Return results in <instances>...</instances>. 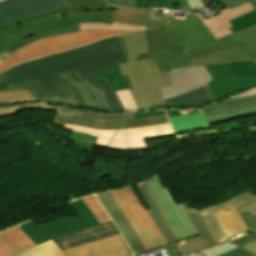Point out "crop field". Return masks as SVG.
Instances as JSON below:
<instances>
[{
    "instance_id": "obj_29",
    "label": "crop field",
    "mask_w": 256,
    "mask_h": 256,
    "mask_svg": "<svg viewBox=\"0 0 256 256\" xmlns=\"http://www.w3.org/2000/svg\"><path fill=\"white\" fill-rule=\"evenodd\" d=\"M227 237L248 230L238 211L233 208L228 211L215 214Z\"/></svg>"
},
{
    "instance_id": "obj_61",
    "label": "crop field",
    "mask_w": 256,
    "mask_h": 256,
    "mask_svg": "<svg viewBox=\"0 0 256 256\" xmlns=\"http://www.w3.org/2000/svg\"><path fill=\"white\" fill-rule=\"evenodd\" d=\"M168 116H172V115H177L179 114L178 110H173V111H167Z\"/></svg>"
},
{
    "instance_id": "obj_4",
    "label": "crop field",
    "mask_w": 256,
    "mask_h": 256,
    "mask_svg": "<svg viewBox=\"0 0 256 256\" xmlns=\"http://www.w3.org/2000/svg\"><path fill=\"white\" fill-rule=\"evenodd\" d=\"M128 64L120 65L122 75L127 74L130 90L138 110H150V104L164 103L159 88L173 85L167 70L159 71L153 59L134 62L137 54L146 52L143 31L121 35Z\"/></svg>"
},
{
    "instance_id": "obj_22",
    "label": "crop field",
    "mask_w": 256,
    "mask_h": 256,
    "mask_svg": "<svg viewBox=\"0 0 256 256\" xmlns=\"http://www.w3.org/2000/svg\"><path fill=\"white\" fill-rule=\"evenodd\" d=\"M35 244L17 227L0 233V256H10Z\"/></svg>"
},
{
    "instance_id": "obj_21",
    "label": "crop field",
    "mask_w": 256,
    "mask_h": 256,
    "mask_svg": "<svg viewBox=\"0 0 256 256\" xmlns=\"http://www.w3.org/2000/svg\"><path fill=\"white\" fill-rule=\"evenodd\" d=\"M146 203L150 207L151 210L148 211L150 216L152 217L159 233L164 238L166 243L177 240L174 232L170 228L166 218L164 217L159 205L157 204L147 182L141 185H138ZM150 217V218H151Z\"/></svg>"
},
{
    "instance_id": "obj_48",
    "label": "crop field",
    "mask_w": 256,
    "mask_h": 256,
    "mask_svg": "<svg viewBox=\"0 0 256 256\" xmlns=\"http://www.w3.org/2000/svg\"><path fill=\"white\" fill-rule=\"evenodd\" d=\"M238 211H239L240 215L244 214V213H246L248 211H250V213L252 215H255L256 214V202L252 203V204H250L248 206H245V207L239 209Z\"/></svg>"
},
{
    "instance_id": "obj_63",
    "label": "crop field",
    "mask_w": 256,
    "mask_h": 256,
    "mask_svg": "<svg viewBox=\"0 0 256 256\" xmlns=\"http://www.w3.org/2000/svg\"><path fill=\"white\" fill-rule=\"evenodd\" d=\"M251 4L254 6V8L256 9V0L251 1Z\"/></svg>"
},
{
    "instance_id": "obj_43",
    "label": "crop field",
    "mask_w": 256,
    "mask_h": 256,
    "mask_svg": "<svg viewBox=\"0 0 256 256\" xmlns=\"http://www.w3.org/2000/svg\"><path fill=\"white\" fill-rule=\"evenodd\" d=\"M240 248H242L249 254L256 256V238L242 245Z\"/></svg>"
},
{
    "instance_id": "obj_67",
    "label": "crop field",
    "mask_w": 256,
    "mask_h": 256,
    "mask_svg": "<svg viewBox=\"0 0 256 256\" xmlns=\"http://www.w3.org/2000/svg\"><path fill=\"white\" fill-rule=\"evenodd\" d=\"M131 256H133V255H131Z\"/></svg>"
},
{
    "instance_id": "obj_25",
    "label": "crop field",
    "mask_w": 256,
    "mask_h": 256,
    "mask_svg": "<svg viewBox=\"0 0 256 256\" xmlns=\"http://www.w3.org/2000/svg\"><path fill=\"white\" fill-rule=\"evenodd\" d=\"M68 9L69 7L2 26L0 27V42H2L3 40H5L6 38H8L13 34L20 33L28 29H31L33 27L39 26L41 24L57 20L55 12L68 10Z\"/></svg>"
},
{
    "instance_id": "obj_59",
    "label": "crop field",
    "mask_w": 256,
    "mask_h": 256,
    "mask_svg": "<svg viewBox=\"0 0 256 256\" xmlns=\"http://www.w3.org/2000/svg\"><path fill=\"white\" fill-rule=\"evenodd\" d=\"M203 1V3H204V5H205V7L207 8L208 6H210L213 2H214V0H202Z\"/></svg>"
},
{
    "instance_id": "obj_34",
    "label": "crop field",
    "mask_w": 256,
    "mask_h": 256,
    "mask_svg": "<svg viewBox=\"0 0 256 256\" xmlns=\"http://www.w3.org/2000/svg\"><path fill=\"white\" fill-rule=\"evenodd\" d=\"M234 77L256 76V66L252 61L228 64Z\"/></svg>"
},
{
    "instance_id": "obj_31",
    "label": "crop field",
    "mask_w": 256,
    "mask_h": 256,
    "mask_svg": "<svg viewBox=\"0 0 256 256\" xmlns=\"http://www.w3.org/2000/svg\"><path fill=\"white\" fill-rule=\"evenodd\" d=\"M154 61L157 64L159 70L191 66L186 52L154 58Z\"/></svg>"
},
{
    "instance_id": "obj_57",
    "label": "crop field",
    "mask_w": 256,
    "mask_h": 256,
    "mask_svg": "<svg viewBox=\"0 0 256 256\" xmlns=\"http://www.w3.org/2000/svg\"><path fill=\"white\" fill-rule=\"evenodd\" d=\"M249 54H250V56H251L252 61H253V62L255 63V65H256V50L249 52Z\"/></svg>"
},
{
    "instance_id": "obj_53",
    "label": "crop field",
    "mask_w": 256,
    "mask_h": 256,
    "mask_svg": "<svg viewBox=\"0 0 256 256\" xmlns=\"http://www.w3.org/2000/svg\"><path fill=\"white\" fill-rule=\"evenodd\" d=\"M163 248L166 250L168 256L170 255H174V254H178V251L176 250L175 246L173 245V243L168 244L166 246H163ZM164 250V251H165Z\"/></svg>"
},
{
    "instance_id": "obj_24",
    "label": "crop field",
    "mask_w": 256,
    "mask_h": 256,
    "mask_svg": "<svg viewBox=\"0 0 256 256\" xmlns=\"http://www.w3.org/2000/svg\"><path fill=\"white\" fill-rule=\"evenodd\" d=\"M192 66L201 64H222L237 61H247L251 60L249 54L247 53L245 46L235 47L229 50L191 58L189 59Z\"/></svg>"
},
{
    "instance_id": "obj_65",
    "label": "crop field",
    "mask_w": 256,
    "mask_h": 256,
    "mask_svg": "<svg viewBox=\"0 0 256 256\" xmlns=\"http://www.w3.org/2000/svg\"><path fill=\"white\" fill-rule=\"evenodd\" d=\"M108 1H109L110 3H112L111 0H108ZM112 4H113V3H112Z\"/></svg>"
},
{
    "instance_id": "obj_44",
    "label": "crop field",
    "mask_w": 256,
    "mask_h": 256,
    "mask_svg": "<svg viewBox=\"0 0 256 256\" xmlns=\"http://www.w3.org/2000/svg\"><path fill=\"white\" fill-rule=\"evenodd\" d=\"M246 221L250 231L256 229V216H252L250 213L242 215Z\"/></svg>"
},
{
    "instance_id": "obj_52",
    "label": "crop field",
    "mask_w": 256,
    "mask_h": 256,
    "mask_svg": "<svg viewBox=\"0 0 256 256\" xmlns=\"http://www.w3.org/2000/svg\"><path fill=\"white\" fill-rule=\"evenodd\" d=\"M80 110L77 109H67V108H59L60 113H64V114H68V115H73V116H77Z\"/></svg>"
},
{
    "instance_id": "obj_20",
    "label": "crop field",
    "mask_w": 256,
    "mask_h": 256,
    "mask_svg": "<svg viewBox=\"0 0 256 256\" xmlns=\"http://www.w3.org/2000/svg\"><path fill=\"white\" fill-rule=\"evenodd\" d=\"M118 62L104 64L96 67H90L78 71L84 78H86L90 83L95 85L105 96L112 111H125L122 103L120 102L116 92L111 88V86L106 82H101V80L96 77L92 72L100 71L104 69L118 67Z\"/></svg>"
},
{
    "instance_id": "obj_5",
    "label": "crop field",
    "mask_w": 256,
    "mask_h": 256,
    "mask_svg": "<svg viewBox=\"0 0 256 256\" xmlns=\"http://www.w3.org/2000/svg\"><path fill=\"white\" fill-rule=\"evenodd\" d=\"M58 18L59 20L57 21L9 37L0 43V52L5 50L9 54L41 38L80 31L78 23L107 22L111 24L113 20V10L71 12L59 15Z\"/></svg>"
},
{
    "instance_id": "obj_45",
    "label": "crop field",
    "mask_w": 256,
    "mask_h": 256,
    "mask_svg": "<svg viewBox=\"0 0 256 256\" xmlns=\"http://www.w3.org/2000/svg\"><path fill=\"white\" fill-rule=\"evenodd\" d=\"M228 9L241 5L251 0H220Z\"/></svg>"
},
{
    "instance_id": "obj_16",
    "label": "crop field",
    "mask_w": 256,
    "mask_h": 256,
    "mask_svg": "<svg viewBox=\"0 0 256 256\" xmlns=\"http://www.w3.org/2000/svg\"><path fill=\"white\" fill-rule=\"evenodd\" d=\"M119 234L120 232L111 221L53 239V241L63 251Z\"/></svg>"
},
{
    "instance_id": "obj_30",
    "label": "crop field",
    "mask_w": 256,
    "mask_h": 256,
    "mask_svg": "<svg viewBox=\"0 0 256 256\" xmlns=\"http://www.w3.org/2000/svg\"><path fill=\"white\" fill-rule=\"evenodd\" d=\"M255 201H256V196L246 192V193H244L234 199H231L225 203L211 206L208 208H204L201 210H197V212L200 215V217H202V216L209 215L212 213L228 210L233 207H235L236 209H239V208H241L245 205H248L252 202H255Z\"/></svg>"
},
{
    "instance_id": "obj_60",
    "label": "crop field",
    "mask_w": 256,
    "mask_h": 256,
    "mask_svg": "<svg viewBox=\"0 0 256 256\" xmlns=\"http://www.w3.org/2000/svg\"><path fill=\"white\" fill-rule=\"evenodd\" d=\"M182 4H183L184 10H190V7H189V5H188L186 0H182Z\"/></svg>"
},
{
    "instance_id": "obj_1",
    "label": "crop field",
    "mask_w": 256,
    "mask_h": 256,
    "mask_svg": "<svg viewBox=\"0 0 256 256\" xmlns=\"http://www.w3.org/2000/svg\"><path fill=\"white\" fill-rule=\"evenodd\" d=\"M127 60L121 36L22 63L0 73V103L41 100L78 106L70 88L53 76Z\"/></svg>"
},
{
    "instance_id": "obj_17",
    "label": "crop field",
    "mask_w": 256,
    "mask_h": 256,
    "mask_svg": "<svg viewBox=\"0 0 256 256\" xmlns=\"http://www.w3.org/2000/svg\"><path fill=\"white\" fill-rule=\"evenodd\" d=\"M66 256H127L131 251L122 235L63 251Z\"/></svg>"
},
{
    "instance_id": "obj_35",
    "label": "crop field",
    "mask_w": 256,
    "mask_h": 256,
    "mask_svg": "<svg viewBox=\"0 0 256 256\" xmlns=\"http://www.w3.org/2000/svg\"><path fill=\"white\" fill-rule=\"evenodd\" d=\"M232 33L256 25V10L230 21Z\"/></svg>"
},
{
    "instance_id": "obj_49",
    "label": "crop field",
    "mask_w": 256,
    "mask_h": 256,
    "mask_svg": "<svg viewBox=\"0 0 256 256\" xmlns=\"http://www.w3.org/2000/svg\"><path fill=\"white\" fill-rule=\"evenodd\" d=\"M244 42L248 52L256 49V37L245 40Z\"/></svg>"
},
{
    "instance_id": "obj_38",
    "label": "crop field",
    "mask_w": 256,
    "mask_h": 256,
    "mask_svg": "<svg viewBox=\"0 0 256 256\" xmlns=\"http://www.w3.org/2000/svg\"><path fill=\"white\" fill-rule=\"evenodd\" d=\"M138 7H148L149 5H156L157 8H169L167 0H135Z\"/></svg>"
},
{
    "instance_id": "obj_37",
    "label": "crop field",
    "mask_w": 256,
    "mask_h": 256,
    "mask_svg": "<svg viewBox=\"0 0 256 256\" xmlns=\"http://www.w3.org/2000/svg\"><path fill=\"white\" fill-rule=\"evenodd\" d=\"M78 116L88 117L93 119H100V120H116V119H128L134 118L132 113L128 114H100V113H93L89 111L81 110Z\"/></svg>"
},
{
    "instance_id": "obj_36",
    "label": "crop field",
    "mask_w": 256,
    "mask_h": 256,
    "mask_svg": "<svg viewBox=\"0 0 256 256\" xmlns=\"http://www.w3.org/2000/svg\"><path fill=\"white\" fill-rule=\"evenodd\" d=\"M83 200L87 204V206L90 208V210L93 212V214L96 216V218L99 220L100 223L111 220V218L105 212V210L100 205V203L98 202V200L95 198L94 195L85 197L83 198Z\"/></svg>"
},
{
    "instance_id": "obj_14",
    "label": "crop field",
    "mask_w": 256,
    "mask_h": 256,
    "mask_svg": "<svg viewBox=\"0 0 256 256\" xmlns=\"http://www.w3.org/2000/svg\"><path fill=\"white\" fill-rule=\"evenodd\" d=\"M168 71L174 86L160 89L164 99L207 86V83L212 81L204 65Z\"/></svg>"
},
{
    "instance_id": "obj_3",
    "label": "crop field",
    "mask_w": 256,
    "mask_h": 256,
    "mask_svg": "<svg viewBox=\"0 0 256 256\" xmlns=\"http://www.w3.org/2000/svg\"><path fill=\"white\" fill-rule=\"evenodd\" d=\"M65 129L99 137L96 145L113 149L146 147L145 137L173 133L165 114L128 120L99 121L57 114Z\"/></svg>"
},
{
    "instance_id": "obj_28",
    "label": "crop field",
    "mask_w": 256,
    "mask_h": 256,
    "mask_svg": "<svg viewBox=\"0 0 256 256\" xmlns=\"http://www.w3.org/2000/svg\"><path fill=\"white\" fill-rule=\"evenodd\" d=\"M169 118L175 133L209 126L201 111Z\"/></svg>"
},
{
    "instance_id": "obj_51",
    "label": "crop field",
    "mask_w": 256,
    "mask_h": 256,
    "mask_svg": "<svg viewBox=\"0 0 256 256\" xmlns=\"http://www.w3.org/2000/svg\"><path fill=\"white\" fill-rule=\"evenodd\" d=\"M188 2H189V5H190V7H191L192 10H201V9H205L204 6H203V4H202V2H201V0H188ZM197 5H198L199 8H196V7H195V6H197Z\"/></svg>"
},
{
    "instance_id": "obj_18",
    "label": "crop field",
    "mask_w": 256,
    "mask_h": 256,
    "mask_svg": "<svg viewBox=\"0 0 256 256\" xmlns=\"http://www.w3.org/2000/svg\"><path fill=\"white\" fill-rule=\"evenodd\" d=\"M102 81L106 80L113 89L117 92L121 102L123 103L126 111L137 110L133 99L128 91L131 88L127 76H121L120 69L114 68L105 71L95 72Z\"/></svg>"
},
{
    "instance_id": "obj_26",
    "label": "crop field",
    "mask_w": 256,
    "mask_h": 256,
    "mask_svg": "<svg viewBox=\"0 0 256 256\" xmlns=\"http://www.w3.org/2000/svg\"><path fill=\"white\" fill-rule=\"evenodd\" d=\"M66 76L87 93L95 110L110 111L103 94L96 87L91 85L86 79H84L79 73L74 72L66 74Z\"/></svg>"
},
{
    "instance_id": "obj_27",
    "label": "crop field",
    "mask_w": 256,
    "mask_h": 256,
    "mask_svg": "<svg viewBox=\"0 0 256 256\" xmlns=\"http://www.w3.org/2000/svg\"><path fill=\"white\" fill-rule=\"evenodd\" d=\"M256 237V231L243 236L241 238H238L236 240H233L229 243H226L224 245H221L219 247H216L212 250H207V251H203L206 252L207 256H251L248 253H246L245 251H243L242 249H240L239 247L248 242L249 240L253 239ZM200 252V253H203ZM199 254V253H197ZM195 254H191L189 256H193Z\"/></svg>"
},
{
    "instance_id": "obj_7",
    "label": "crop field",
    "mask_w": 256,
    "mask_h": 256,
    "mask_svg": "<svg viewBox=\"0 0 256 256\" xmlns=\"http://www.w3.org/2000/svg\"><path fill=\"white\" fill-rule=\"evenodd\" d=\"M69 203L79 217L70 219L65 216L39 228L31 221L20 224L18 227L38 245L50 239L99 224L82 199Z\"/></svg>"
},
{
    "instance_id": "obj_39",
    "label": "crop field",
    "mask_w": 256,
    "mask_h": 256,
    "mask_svg": "<svg viewBox=\"0 0 256 256\" xmlns=\"http://www.w3.org/2000/svg\"><path fill=\"white\" fill-rule=\"evenodd\" d=\"M255 114H256V110H250V111H245V112H241V113H237V114H232V115H228V116L210 119L208 121L210 124H214L217 122H221V121H225V120H229V119H233V118L251 116V115H255Z\"/></svg>"
},
{
    "instance_id": "obj_11",
    "label": "crop field",
    "mask_w": 256,
    "mask_h": 256,
    "mask_svg": "<svg viewBox=\"0 0 256 256\" xmlns=\"http://www.w3.org/2000/svg\"><path fill=\"white\" fill-rule=\"evenodd\" d=\"M183 205L202 235L184 241L174 242L181 256L228 241L214 214L200 218L195 209H190L186 203H183Z\"/></svg>"
},
{
    "instance_id": "obj_55",
    "label": "crop field",
    "mask_w": 256,
    "mask_h": 256,
    "mask_svg": "<svg viewBox=\"0 0 256 256\" xmlns=\"http://www.w3.org/2000/svg\"><path fill=\"white\" fill-rule=\"evenodd\" d=\"M169 4H170V8H171V9L180 10V8H181L180 1H179V0L169 1Z\"/></svg>"
},
{
    "instance_id": "obj_23",
    "label": "crop field",
    "mask_w": 256,
    "mask_h": 256,
    "mask_svg": "<svg viewBox=\"0 0 256 256\" xmlns=\"http://www.w3.org/2000/svg\"><path fill=\"white\" fill-rule=\"evenodd\" d=\"M165 104L151 105L152 109L201 106L211 102L207 87L197 88L187 94L164 100Z\"/></svg>"
},
{
    "instance_id": "obj_50",
    "label": "crop field",
    "mask_w": 256,
    "mask_h": 256,
    "mask_svg": "<svg viewBox=\"0 0 256 256\" xmlns=\"http://www.w3.org/2000/svg\"><path fill=\"white\" fill-rule=\"evenodd\" d=\"M18 111L25 109V108H42V109H48V110H53L56 111L58 107H50V106H41V105H30V106H17Z\"/></svg>"
},
{
    "instance_id": "obj_2",
    "label": "crop field",
    "mask_w": 256,
    "mask_h": 256,
    "mask_svg": "<svg viewBox=\"0 0 256 256\" xmlns=\"http://www.w3.org/2000/svg\"><path fill=\"white\" fill-rule=\"evenodd\" d=\"M71 11L115 9L113 22L146 26L147 53L135 61L150 59L170 53L188 51L215 40L203 22L194 14L174 20L172 14L154 12V9H123L109 5L105 0H66Z\"/></svg>"
},
{
    "instance_id": "obj_10",
    "label": "crop field",
    "mask_w": 256,
    "mask_h": 256,
    "mask_svg": "<svg viewBox=\"0 0 256 256\" xmlns=\"http://www.w3.org/2000/svg\"><path fill=\"white\" fill-rule=\"evenodd\" d=\"M147 182L179 241L200 235L183 205L174 202L169 191L160 182V178L154 177Z\"/></svg>"
},
{
    "instance_id": "obj_42",
    "label": "crop field",
    "mask_w": 256,
    "mask_h": 256,
    "mask_svg": "<svg viewBox=\"0 0 256 256\" xmlns=\"http://www.w3.org/2000/svg\"><path fill=\"white\" fill-rule=\"evenodd\" d=\"M62 78H64L66 81H68L70 84H72L83 96L85 104L87 106V109H93L90 103V100L88 98V96L85 94V92L78 87L75 83H73L71 80H69L67 77H65L64 75L61 76Z\"/></svg>"
},
{
    "instance_id": "obj_15",
    "label": "crop field",
    "mask_w": 256,
    "mask_h": 256,
    "mask_svg": "<svg viewBox=\"0 0 256 256\" xmlns=\"http://www.w3.org/2000/svg\"><path fill=\"white\" fill-rule=\"evenodd\" d=\"M96 197L102 203L108 214L114 220L116 226L124 236L127 244L130 246L133 253L145 251V247L139 236L126 218L119 204L117 203L112 192L96 194Z\"/></svg>"
},
{
    "instance_id": "obj_19",
    "label": "crop field",
    "mask_w": 256,
    "mask_h": 256,
    "mask_svg": "<svg viewBox=\"0 0 256 256\" xmlns=\"http://www.w3.org/2000/svg\"><path fill=\"white\" fill-rule=\"evenodd\" d=\"M256 108V95L224 100L202 108L207 119Z\"/></svg>"
},
{
    "instance_id": "obj_56",
    "label": "crop field",
    "mask_w": 256,
    "mask_h": 256,
    "mask_svg": "<svg viewBox=\"0 0 256 256\" xmlns=\"http://www.w3.org/2000/svg\"><path fill=\"white\" fill-rule=\"evenodd\" d=\"M9 58L11 57L5 51L0 53V62H3Z\"/></svg>"
},
{
    "instance_id": "obj_41",
    "label": "crop field",
    "mask_w": 256,
    "mask_h": 256,
    "mask_svg": "<svg viewBox=\"0 0 256 256\" xmlns=\"http://www.w3.org/2000/svg\"><path fill=\"white\" fill-rule=\"evenodd\" d=\"M56 78L73 90V92L75 93V95L78 99L79 107L86 109V106L84 104L81 94L73 86H71L69 83H67L65 80H63L61 77L56 76Z\"/></svg>"
},
{
    "instance_id": "obj_32",
    "label": "crop field",
    "mask_w": 256,
    "mask_h": 256,
    "mask_svg": "<svg viewBox=\"0 0 256 256\" xmlns=\"http://www.w3.org/2000/svg\"><path fill=\"white\" fill-rule=\"evenodd\" d=\"M12 256H65L52 240Z\"/></svg>"
},
{
    "instance_id": "obj_46",
    "label": "crop field",
    "mask_w": 256,
    "mask_h": 256,
    "mask_svg": "<svg viewBox=\"0 0 256 256\" xmlns=\"http://www.w3.org/2000/svg\"><path fill=\"white\" fill-rule=\"evenodd\" d=\"M114 4L122 7H137L134 0H112Z\"/></svg>"
},
{
    "instance_id": "obj_47",
    "label": "crop field",
    "mask_w": 256,
    "mask_h": 256,
    "mask_svg": "<svg viewBox=\"0 0 256 256\" xmlns=\"http://www.w3.org/2000/svg\"><path fill=\"white\" fill-rule=\"evenodd\" d=\"M16 112H18L16 106L3 107V108H0V117L1 116L12 115Z\"/></svg>"
},
{
    "instance_id": "obj_13",
    "label": "crop field",
    "mask_w": 256,
    "mask_h": 256,
    "mask_svg": "<svg viewBox=\"0 0 256 256\" xmlns=\"http://www.w3.org/2000/svg\"><path fill=\"white\" fill-rule=\"evenodd\" d=\"M205 67L214 80L208 84L214 101L256 85V77L233 78L227 64Z\"/></svg>"
},
{
    "instance_id": "obj_62",
    "label": "crop field",
    "mask_w": 256,
    "mask_h": 256,
    "mask_svg": "<svg viewBox=\"0 0 256 256\" xmlns=\"http://www.w3.org/2000/svg\"><path fill=\"white\" fill-rule=\"evenodd\" d=\"M30 102H41V101H30ZM20 103H26V102H20ZM46 103H51V102H46ZM10 104H13V103H10ZM55 104H57V103H55ZM0 105H4V104H0ZM61 105H63V104H61Z\"/></svg>"
},
{
    "instance_id": "obj_6",
    "label": "crop field",
    "mask_w": 256,
    "mask_h": 256,
    "mask_svg": "<svg viewBox=\"0 0 256 256\" xmlns=\"http://www.w3.org/2000/svg\"><path fill=\"white\" fill-rule=\"evenodd\" d=\"M120 33L124 32L94 30L63 34L55 37L41 39L9 54L13 58L3 63H0V72L23 61L72 49L90 43L92 41Z\"/></svg>"
},
{
    "instance_id": "obj_40",
    "label": "crop field",
    "mask_w": 256,
    "mask_h": 256,
    "mask_svg": "<svg viewBox=\"0 0 256 256\" xmlns=\"http://www.w3.org/2000/svg\"><path fill=\"white\" fill-rule=\"evenodd\" d=\"M234 36L237 39V41L240 43V45H242L244 44L243 40L256 36V26L234 33Z\"/></svg>"
},
{
    "instance_id": "obj_8",
    "label": "crop field",
    "mask_w": 256,
    "mask_h": 256,
    "mask_svg": "<svg viewBox=\"0 0 256 256\" xmlns=\"http://www.w3.org/2000/svg\"><path fill=\"white\" fill-rule=\"evenodd\" d=\"M254 10L250 2L243 4L241 6L235 7L233 9H226L222 11L217 16H214L212 18L204 19L202 18L197 12H193L195 15H197L201 21L205 23V25L208 27V29L212 32V34L215 36L217 40L210 42L208 44L202 45L200 47H197L195 49H192L188 51V57H196L201 56L225 49H229L235 46H239V43L234 38L233 34L229 30L228 27H230V23L228 21L239 17L245 13H248L250 11ZM210 32V33H211Z\"/></svg>"
},
{
    "instance_id": "obj_12",
    "label": "crop field",
    "mask_w": 256,
    "mask_h": 256,
    "mask_svg": "<svg viewBox=\"0 0 256 256\" xmlns=\"http://www.w3.org/2000/svg\"><path fill=\"white\" fill-rule=\"evenodd\" d=\"M64 7H68L65 0H4L0 2V26Z\"/></svg>"
},
{
    "instance_id": "obj_33",
    "label": "crop field",
    "mask_w": 256,
    "mask_h": 256,
    "mask_svg": "<svg viewBox=\"0 0 256 256\" xmlns=\"http://www.w3.org/2000/svg\"><path fill=\"white\" fill-rule=\"evenodd\" d=\"M81 31L85 30H94V29H102V30H112V31H139L145 30V27L142 26H134V25H126V24H117L113 23L112 25L106 23H82L79 24Z\"/></svg>"
},
{
    "instance_id": "obj_9",
    "label": "crop field",
    "mask_w": 256,
    "mask_h": 256,
    "mask_svg": "<svg viewBox=\"0 0 256 256\" xmlns=\"http://www.w3.org/2000/svg\"><path fill=\"white\" fill-rule=\"evenodd\" d=\"M118 203L143 241L146 249L165 243L146 209L129 187L113 191Z\"/></svg>"
},
{
    "instance_id": "obj_58",
    "label": "crop field",
    "mask_w": 256,
    "mask_h": 256,
    "mask_svg": "<svg viewBox=\"0 0 256 256\" xmlns=\"http://www.w3.org/2000/svg\"><path fill=\"white\" fill-rule=\"evenodd\" d=\"M256 94L254 90H251V91H248V92H245L243 94H240L238 96H235V97H240V96H247V95H254ZM234 98V97H233Z\"/></svg>"
},
{
    "instance_id": "obj_54",
    "label": "crop field",
    "mask_w": 256,
    "mask_h": 256,
    "mask_svg": "<svg viewBox=\"0 0 256 256\" xmlns=\"http://www.w3.org/2000/svg\"><path fill=\"white\" fill-rule=\"evenodd\" d=\"M165 113V111H156V112H148V113H133L135 118L138 117H144V116H150V115H156V114H162Z\"/></svg>"
},
{
    "instance_id": "obj_64",
    "label": "crop field",
    "mask_w": 256,
    "mask_h": 256,
    "mask_svg": "<svg viewBox=\"0 0 256 256\" xmlns=\"http://www.w3.org/2000/svg\"><path fill=\"white\" fill-rule=\"evenodd\" d=\"M196 256H206V254L204 253V254H200V255H196Z\"/></svg>"
},
{
    "instance_id": "obj_66",
    "label": "crop field",
    "mask_w": 256,
    "mask_h": 256,
    "mask_svg": "<svg viewBox=\"0 0 256 256\" xmlns=\"http://www.w3.org/2000/svg\"><path fill=\"white\" fill-rule=\"evenodd\" d=\"M256 91V89H254Z\"/></svg>"
}]
</instances>
